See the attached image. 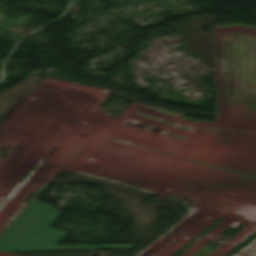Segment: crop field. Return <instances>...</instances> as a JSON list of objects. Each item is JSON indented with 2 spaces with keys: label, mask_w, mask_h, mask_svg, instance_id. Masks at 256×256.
<instances>
[{
  "label": "crop field",
  "mask_w": 256,
  "mask_h": 256,
  "mask_svg": "<svg viewBox=\"0 0 256 256\" xmlns=\"http://www.w3.org/2000/svg\"><path fill=\"white\" fill-rule=\"evenodd\" d=\"M61 212L34 200L1 234L0 251L50 250L56 248L122 247L111 245H56L68 232L48 227Z\"/></svg>",
  "instance_id": "1"
},
{
  "label": "crop field",
  "mask_w": 256,
  "mask_h": 256,
  "mask_svg": "<svg viewBox=\"0 0 256 256\" xmlns=\"http://www.w3.org/2000/svg\"><path fill=\"white\" fill-rule=\"evenodd\" d=\"M256 250V239L252 241L249 245H247L244 249H242L235 256H249Z\"/></svg>",
  "instance_id": "2"
}]
</instances>
